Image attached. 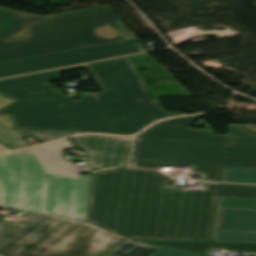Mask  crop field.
<instances>
[{"mask_svg":"<svg viewBox=\"0 0 256 256\" xmlns=\"http://www.w3.org/2000/svg\"><path fill=\"white\" fill-rule=\"evenodd\" d=\"M162 173L121 169L91 175L87 221L124 237L211 240L218 196L256 199V186L202 182L163 189Z\"/></svg>","mask_w":256,"mask_h":256,"instance_id":"obj_1","label":"crop field"},{"mask_svg":"<svg viewBox=\"0 0 256 256\" xmlns=\"http://www.w3.org/2000/svg\"><path fill=\"white\" fill-rule=\"evenodd\" d=\"M214 241L256 242V233L216 230Z\"/></svg>","mask_w":256,"mask_h":256,"instance_id":"obj_16","label":"crop field"},{"mask_svg":"<svg viewBox=\"0 0 256 256\" xmlns=\"http://www.w3.org/2000/svg\"><path fill=\"white\" fill-rule=\"evenodd\" d=\"M78 149L86 153L89 166L101 172L126 166L131 138L82 135L72 138Z\"/></svg>","mask_w":256,"mask_h":256,"instance_id":"obj_9","label":"crop field"},{"mask_svg":"<svg viewBox=\"0 0 256 256\" xmlns=\"http://www.w3.org/2000/svg\"><path fill=\"white\" fill-rule=\"evenodd\" d=\"M1 256V255H0Z\"/></svg>","mask_w":256,"mask_h":256,"instance_id":"obj_23","label":"crop field"},{"mask_svg":"<svg viewBox=\"0 0 256 256\" xmlns=\"http://www.w3.org/2000/svg\"><path fill=\"white\" fill-rule=\"evenodd\" d=\"M0 217L4 256H101L124 239L88 222L34 213L24 220Z\"/></svg>","mask_w":256,"mask_h":256,"instance_id":"obj_5","label":"crop field"},{"mask_svg":"<svg viewBox=\"0 0 256 256\" xmlns=\"http://www.w3.org/2000/svg\"><path fill=\"white\" fill-rule=\"evenodd\" d=\"M151 256H210V255H204V254H198V253H192V252H186V251L162 247Z\"/></svg>","mask_w":256,"mask_h":256,"instance_id":"obj_18","label":"crop field"},{"mask_svg":"<svg viewBox=\"0 0 256 256\" xmlns=\"http://www.w3.org/2000/svg\"><path fill=\"white\" fill-rule=\"evenodd\" d=\"M136 242L207 254L212 249L256 253V243L196 242L131 239Z\"/></svg>","mask_w":256,"mask_h":256,"instance_id":"obj_11","label":"crop field"},{"mask_svg":"<svg viewBox=\"0 0 256 256\" xmlns=\"http://www.w3.org/2000/svg\"><path fill=\"white\" fill-rule=\"evenodd\" d=\"M0 81V94L16 100L0 109L14 128L132 135L157 119L182 115L163 110L155 97L81 92L75 100L45 82L60 71Z\"/></svg>","mask_w":256,"mask_h":256,"instance_id":"obj_2","label":"crop field"},{"mask_svg":"<svg viewBox=\"0 0 256 256\" xmlns=\"http://www.w3.org/2000/svg\"><path fill=\"white\" fill-rule=\"evenodd\" d=\"M247 256H256V255H253V254H249V255H247Z\"/></svg>","mask_w":256,"mask_h":256,"instance_id":"obj_21","label":"crop field"},{"mask_svg":"<svg viewBox=\"0 0 256 256\" xmlns=\"http://www.w3.org/2000/svg\"><path fill=\"white\" fill-rule=\"evenodd\" d=\"M76 133L48 132L35 130L9 129L0 125V146L8 149H20L31 146L20 138L33 135L46 142Z\"/></svg>","mask_w":256,"mask_h":256,"instance_id":"obj_12","label":"crop field"},{"mask_svg":"<svg viewBox=\"0 0 256 256\" xmlns=\"http://www.w3.org/2000/svg\"><path fill=\"white\" fill-rule=\"evenodd\" d=\"M248 133H256V126L255 125H249Z\"/></svg>","mask_w":256,"mask_h":256,"instance_id":"obj_20","label":"crop field"},{"mask_svg":"<svg viewBox=\"0 0 256 256\" xmlns=\"http://www.w3.org/2000/svg\"><path fill=\"white\" fill-rule=\"evenodd\" d=\"M11 102H13V101L7 100V99H5V98L0 96V108L8 105ZM0 124L4 125L6 127L12 128V125H11V123H10V121H9L7 116H1L0 115Z\"/></svg>","mask_w":256,"mask_h":256,"instance_id":"obj_19","label":"crop field"},{"mask_svg":"<svg viewBox=\"0 0 256 256\" xmlns=\"http://www.w3.org/2000/svg\"><path fill=\"white\" fill-rule=\"evenodd\" d=\"M132 38L108 5L49 17L0 8V63Z\"/></svg>","mask_w":256,"mask_h":256,"instance_id":"obj_4","label":"crop field"},{"mask_svg":"<svg viewBox=\"0 0 256 256\" xmlns=\"http://www.w3.org/2000/svg\"><path fill=\"white\" fill-rule=\"evenodd\" d=\"M68 138L0 154V208L86 221L90 174L62 158Z\"/></svg>","mask_w":256,"mask_h":256,"instance_id":"obj_3","label":"crop field"},{"mask_svg":"<svg viewBox=\"0 0 256 256\" xmlns=\"http://www.w3.org/2000/svg\"><path fill=\"white\" fill-rule=\"evenodd\" d=\"M215 229L256 232V211L219 209Z\"/></svg>","mask_w":256,"mask_h":256,"instance_id":"obj_13","label":"crop field"},{"mask_svg":"<svg viewBox=\"0 0 256 256\" xmlns=\"http://www.w3.org/2000/svg\"><path fill=\"white\" fill-rule=\"evenodd\" d=\"M203 114L191 117H181L165 120L148 128L137 137L158 138L181 141L216 142L226 143L225 135H213L214 131L206 127L201 129H187L195 120Z\"/></svg>","mask_w":256,"mask_h":256,"instance_id":"obj_10","label":"crop field"},{"mask_svg":"<svg viewBox=\"0 0 256 256\" xmlns=\"http://www.w3.org/2000/svg\"><path fill=\"white\" fill-rule=\"evenodd\" d=\"M248 125L230 124L228 144L134 139L129 165L158 169L190 165L203 180L220 181L223 167L256 169V134Z\"/></svg>","mask_w":256,"mask_h":256,"instance_id":"obj_6","label":"crop field"},{"mask_svg":"<svg viewBox=\"0 0 256 256\" xmlns=\"http://www.w3.org/2000/svg\"><path fill=\"white\" fill-rule=\"evenodd\" d=\"M223 182L256 184V170L226 168Z\"/></svg>","mask_w":256,"mask_h":256,"instance_id":"obj_15","label":"crop field"},{"mask_svg":"<svg viewBox=\"0 0 256 256\" xmlns=\"http://www.w3.org/2000/svg\"><path fill=\"white\" fill-rule=\"evenodd\" d=\"M103 93L151 96L130 57L88 64Z\"/></svg>","mask_w":256,"mask_h":256,"instance_id":"obj_8","label":"crop field"},{"mask_svg":"<svg viewBox=\"0 0 256 256\" xmlns=\"http://www.w3.org/2000/svg\"><path fill=\"white\" fill-rule=\"evenodd\" d=\"M159 246L147 245L126 239L105 256H150Z\"/></svg>","mask_w":256,"mask_h":256,"instance_id":"obj_14","label":"crop field"},{"mask_svg":"<svg viewBox=\"0 0 256 256\" xmlns=\"http://www.w3.org/2000/svg\"><path fill=\"white\" fill-rule=\"evenodd\" d=\"M2 151H5V150H3V149L0 148V152H2Z\"/></svg>","mask_w":256,"mask_h":256,"instance_id":"obj_22","label":"crop field"},{"mask_svg":"<svg viewBox=\"0 0 256 256\" xmlns=\"http://www.w3.org/2000/svg\"><path fill=\"white\" fill-rule=\"evenodd\" d=\"M219 208L256 210V200L221 197Z\"/></svg>","mask_w":256,"mask_h":256,"instance_id":"obj_17","label":"crop field"},{"mask_svg":"<svg viewBox=\"0 0 256 256\" xmlns=\"http://www.w3.org/2000/svg\"><path fill=\"white\" fill-rule=\"evenodd\" d=\"M139 39L99 45L0 64V78L105 58L145 52Z\"/></svg>","mask_w":256,"mask_h":256,"instance_id":"obj_7","label":"crop field"}]
</instances>
